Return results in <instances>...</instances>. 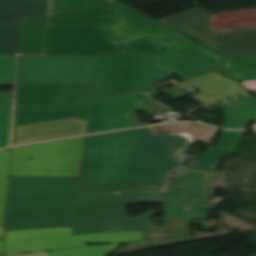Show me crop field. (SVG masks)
<instances>
[{
    "mask_svg": "<svg viewBox=\"0 0 256 256\" xmlns=\"http://www.w3.org/2000/svg\"><path fill=\"white\" fill-rule=\"evenodd\" d=\"M187 144L181 136H152L149 127L87 137L79 184L164 183L167 169L179 166L175 151Z\"/></svg>",
    "mask_w": 256,
    "mask_h": 256,
    "instance_id": "1",
    "label": "crop field"
},
{
    "mask_svg": "<svg viewBox=\"0 0 256 256\" xmlns=\"http://www.w3.org/2000/svg\"><path fill=\"white\" fill-rule=\"evenodd\" d=\"M78 181L10 177L6 231L72 226Z\"/></svg>",
    "mask_w": 256,
    "mask_h": 256,
    "instance_id": "2",
    "label": "crop field"
},
{
    "mask_svg": "<svg viewBox=\"0 0 256 256\" xmlns=\"http://www.w3.org/2000/svg\"><path fill=\"white\" fill-rule=\"evenodd\" d=\"M174 72L186 80L208 71L202 62L173 59L164 50L101 55L95 79L122 95L156 90L151 81L167 79Z\"/></svg>",
    "mask_w": 256,
    "mask_h": 256,
    "instance_id": "3",
    "label": "crop field"
},
{
    "mask_svg": "<svg viewBox=\"0 0 256 256\" xmlns=\"http://www.w3.org/2000/svg\"><path fill=\"white\" fill-rule=\"evenodd\" d=\"M162 49L153 37L119 44L106 26L46 27L42 54L98 56Z\"/></svg>",
    "mask_w": 256,
    "mask_h": 256,
    "instance_id": "4",
    "label": "crop field"
},
{
    "mask_svg": "<svg viewBox=\"0 0 256 256\" xmlns=\"http://www.w3.org/2000/svg\"><path fill=\"white\" fill-rule=\"evenodd\" d=\"M84 140L14 148L10 176L79 177ZM30 157L32 160H27Z\"/></svg>",
    "mask_w": 256,
    "mask_h": 256,
    "instance_id": "5",
    "label": "crop field"
},
{
    "mask_svg": "<svg viewBox=\"0 0 256 256\" xmlns=\"http://www.w3.org/2000/svg\"><path fill=\"white\" fill-rule=\"evenodd\" d=\"M124 12L117 24L107 26L120 43L154 36L173 58H191L206 64L209 72H219L221 57L170 29L121 5Z\"/></svg>",
    "mask_w": 256,
    "mask_h": 256,
    "instance_id": "6",
    "label": "crop field"
},
{
    "mask_svg": "<svg viewBox=\"0 0 256 256\" xmlns=\"http://www.w3.org/2000/svg\"><path fill=\"white\" fill-rule=\"evenodd\" d=\"M97 57L20 56L18 85H92Z\"/></svg>",
    "mask_w": 256,
    "mask_h": 256,
    "instance_id": "7",
    "label": "crop field"
},
{
    "mask_svg": "<svg viewBox=\"0 0 256 256\" xmlns=\"http://www.w3.org/2000/svg\"><path fill=\"white\" fill-rule=\"evenodd\" d=\"M72 227L5 232L4 254L87 246L88 242L123 243L142 239L140 231L70 236ZM9 250L15 252L6 253Z\"/></svg>",
    "mask_w": 256,
    "mask_h": 256,
    "instance_id": "8",
    "label": "crop field"
},
{
    "mask_svg": "<svg viewBox=\"0 0 256 256\" xmlns=\"http://www.w3.org/2000/svg\"><path fill=\"white\" fill-rule=\"evenodd\" d=\"M92 86H17L16 105L90 106Z\"/></svg>",
    "mask_w": 256,
    "mask_h": 256,
    "instance_id": "9",
    "label": "crop field"
},
{
    "mask_svg": "<svg viewBox=\"0 0 256 256\" xmlns=\"http://www.w3.org/2000/svg\"><path fill=\"white\" fill-rule=\"evenodd\" d=\"M88 121L66 118L15 127L13 145L86 134Z\"/></svg>",
    "mask_w": 256,
    "mask_h": 256,
    "instance_id": "10",
    "label": "crop field"
},
{
    "mask_svg": "<svg viewBox=\"0 0 256 256\" xmlns=\"http://www.w3.org/2000/svg\"><path fill=\"white\" fill-rule=\"evenodd\" d=\"M183 89L194 86L201 93L193 95L203 105L247 94L236 81L227 79L219 73H207L178 83Z\"/></svg>",
    "mask_w": 256,
    "mask_h": 256,
    "instance_id": "11",
    "label": "crop field"
},
{
    "mask_svg": "<svg viewBox=\"0 0 256 256\" xmlns=\"http://www.w3.org/2000/svg\"><path fill=\"white\" fill-rule=\"evenodd\" d=\"M183 178L169 180L164 201L206 203L207 184L205 173L174 171Z\"/></svg>",
    "mask_w": 256,
    "mask_h": 256,
    "instance_id": "12",
    "label": "crop field"
},
{
    "mask_svg": "<svg viewBox=\"0 0 256 256\" xmlns=\"http://www.w3.org/2000/svg\"><path fill=\"white\" fill-rule=\"evenodd\" d=\"M158 21L209 47L208 11L197 7Z\"/></svg>",
    "mask_w": 256,
    "mask_h": 256,
    "instance_id": "13",
    "label": "crop field"
},
{
    "mask_svg": "<svg viewBox=\"0 0 256 256\" xmlns=\"http://www.w3.org/2000/svg\"><path fill=\"white\" fill-rule=\"evenodd\" d=\"M141 232L138 250L193 241L190 220H164V229Z\"/></svg>",
    "mask_w": 256,
    "mask_h": 256,
    "instance_id": "14",
    "label": "crop field"
},
{
    "mask_svg": "<svg viewBox=\"0 0 256 256\" xmlns=\"http://www.w3.org/2000/svg\"><path fill=\"white\" fill-rule=\"evenodd\" d=\"M90 107H33L17 106L15 126L76 117L88 120Z\"/></svg>",
    "mask_w": 256,
    "mask_h": 256,
    "instance_id": "15",
    "label": "crop field"
},
{
    "mask_svg": "<svg viewBox=\"0 0 256 256\" xmlns=\"http://www.w3.org/2000/svg\"><path fill=\"white\" fill-rule=\"evenodd\" d=\"M121 9L116 6L75 12L47 19L46 26H73V25H109L116 23Z\"/></svg>",
    "mask_w": 256,
    "mask_h": 256,
    "instance_id": "16",
    "label": "crop field"
},
{
    "mask_svg": "<svg viewBox=\"0 0 256 256\" xmlns=\"http://www.w3.org/2000/svg\"><path fill=\"white\" fill-rule=\"evenodd\" d=\"M211 45L224 56L256 53V30L211 35Z\"/></svg>",
    "mask_w": 256,
    "mask_h": 256,
    "instance_id": "17",
    "label": "crop field"
},
{
    "mask_svg": "<svg viewBox=\"0 0 256 256\" xmlns=\"http://www.w3.org/2000/svg\"><path fill=\"white\" fill-rule=\"evenodd\" d=\"M145 100L150 98L144 94L93 100L90 120L133 113L137 109L136 103Z\"/></svg>",
    "mask_w": 256,
    "mask_h": 256,
    "instance_id": "18",
    "label": "crop field"
},
{
    "mask_svg": "<svg viewBox=\"0 0 256 256\" xmlns=\"http://www.w3.org/2000/svg\"><path fill=\"white\" fill-rule=\"evenodd\" d=\"M227 121L223 127L234 129H245L250 121L256 120V101L249 95L223 104Z\"/></svg>",
    "mask_w": 256,
    "mask_h": 256,
    "instance_id": "19",
    "label": "crop field"
},
{
    "mask_svg": "<svg viewBox=\"0 0 256 256\" xmlns=\"http://www.w3.org/2000/svg\"><path fill=\"white\" fill-rule=\"evenodd\" d=\"M48 3L38 0H0V23L47 15Z\"/></svg>",
    "mask_w": 256,
    "mask_h": 256,
    "instance_id": "20",
    "label": "crop field"
},
{
    "mask_svg": "<svg viewBox=\"0 0 256 256\" xmlns=\"http://www.w3.org/2000/svg\"><path fill=\"white\" fill-rule=\"evenodd\" d=\"M46 19L47 17L24 21L21 53L41 54Z\"/></svg>",
    "mask_w": 256,
    "mask_h": 256,
    "instance_id": "21",
    "label": "crop field"
},
{
    "mask_svg": "<svg viewBox=\"0 0 256 256\" xmlns=\"http://www.w3.org/2000/svg\"><path fill=\"white\" fill-rule=\"evenodd\" d=\"M224 74L240 81L256 79V54L225 57Z\"/></svg>",
    "mask_w": 256,
    "mask_h": 256,
    "instance_id": "22",
    "label": "crop field"
},
{
    "mask_svg": "<svg viewBox=\"0 0 256 256\" xmlns=\"http://www.w3.org/2000/svg\"><path fill=\"white\" fill-rule=\"evenodd\" d=\"M256 26V7L211 16V29Z\"/></svg>",
    "mask_w": 256,
    "mask_h": 256,
    "instance_id": "23",
    "label": "crop field"
},
{
    "mask_svg": "<svg viewBox=\"0 0 256 256\" xmlns=\"http://www.w3.org/2000/svg\"><path fill=\"white\" fill-rule=\"evenodd\" d=\"M145 124V122H143L134 114L108 117L89 121L87 134L127 127L142 126Z\"/></svg>",
    "mask_w": 256,
    "mask_h": 256,
    "instance_id": "24",
    "label": "crop field"
},
{
    "mask_svg": "<svg viewBox=\"0 0 256 256\" xmlns=\"http://www.w3.org/2000/svg\"><path fill=\"white\" fill-rule=\"evenodd\" d=\"M164 218H206V204L163 202Z\"/></svg>",
    "mask_w": 256,
    "mask_h": 256,
    "instance_id": "25",
    "label": "crop field"
},
{
    "mask_svg": "<svg viewBox=\"0 0 256 256\" xmlns=\"http://www.w3.org/2000/svg\"><path fill=\"white\" fill-rule=\"evenodd\" d=\"M20 22L0 25V54L17 55L19 53Z\"/></svg>",
    "mask_w": 256,
    "mask_h": 256,
    "instance_id": "26",
    "label": "crop field"
},
{
    "mask_svg": "<svg viewBox=\"0 0 256 256\" xmlns=\"http://www.w3.org/2000/svg\"><path fill=\"white\" fill-rule=\"evenodd\" d=\"M126 206H108L76 209L74 221L100 220L124 217Z\"/></svg>",
    "mask_w": 256,
    "mask_h": 256,
    "instance_id": "27",
    "label": "crop field"
},
{
    "mask_svg": "<svg viewBox=\"0 0 256 256\" xmlns=\"http://www.w3.org/2000/svg\"><path fill=\"white\" fill-rule=\"evenodd\" d=\"M114 2H116V0H52L49 15L106 6Z\"/></svg>",
    "mask_w": 256,
    "mask_h": 256,
    "instance_id": "28",
    "label": "crop field"
},
{
    "mask_svg": "<svg viewBox=\"0 0 256 256\" xmlns=\"http://www.w3.org/2000/svg\"><path fill=\"white\" fill-rule=\"evenodd\" d=\"M10 149L0 151V239H3L5 199L9 171Z\"/></svg>",
    "mask_w": 256,
    "mask_h": 256,
    "instance_id": "29",
    "label": "crop field"
},
{
    "mask_svg": "<svg viewBox=\"0 0 256 256\" xmlns=\"http://www.w3.org/2000/svg\"><path fill=\"white\" fill-rule=\"evenodd\" d=\"M118 244L52 250L51 256H106L117 250Z\"/></svg>",
    "mask_w": 256,
    "mask_h": 256,
    "instance_id": "30",
    "label": "crop field"
},
{
    "mask_svg": "<svg viewBox=\"0 0 256 256\" xmlns=\"http://www.w3.org/2000/svg\"><path fill=\"white\" fill-rule=\"evenodd\" d=\"M228 152L217 148L206 150L197 160L190 161L185 168L216 172L212 169Z\"/></svg>",
    "mask_w": 256,
    "mask_h": 256,
    "instance_id": "31",
    "label": "crop field"
},
{
    "mask_svg": "<svg viewBox=\"0 0 256 256\" xmlns=\"http://www.w3.org/2000/svg\"><path fill=\"white\" fill-rule=\"evenodd\" d=\"M115 232L114 220L74 223L71 235Z\"/></svg>",
    "mask_w": 256,
    "mask_h": 256,
    "instance_id": "32",
    "label": "crop field"
},
{
    "mask_svg": "<svg viewBox=\"0 0 256 256\" xmlns=\"http://www.w3.org/2000/svg\"><path fill=\"white\" fill-rule=\"evenodd\" d=\"M163 195L164 193H119L116 194L115 205L160 202Z\"/></svg>",
    "mask_w": 256,
    "mask_h": 256,
    "instance_id": "33",
    "label": "crop field"
},
{
    "mask_svg": "<svg viewBox=\"0 0 256 256\" xmlns=\"http://www.w3.org/2000/svg\"><path fill=\"white\" fill-rule=\"evenodd\" d=\"M115 194L77 196L76 208L114 205Z\"/></svg>",
    "mask_w": 256,
    "mask_h": 256,
    "instance_id": "34",
    "label": "crop field"
},
{
    "mask_svg": "<svg viewBox=\"0 0 256 256\" xmlns=\"http://www.w3.org/2000/svg\"><path fill=\"white\" fill-rule=\"evenodd\" d=\"M16 56L0 55V85H13Z\"/></svg>",
    "mask_w": 256,
    "mask_h": 256,
    "instance_id": "35",
    "label": "crop field"
},
{
    "mask_svg": "<svg viewBox=\"0 0 256 256\" xmlns=\"http://www.w3.org/2000/svg\"><path fill=\"white\" fill-rule=\"evenodd\" d=\"M244 132H232L224 131L217 148L223 149L228 152H233L236 150L240 137L245 136Z\"/></svg>",
    "mask_w": 256,
    "mask_h": 256,
    "instance_id": "36",
    "label": "crop field"
},
{
    "mask_svg": "<svg viewBox=\"0 0 256 256\" xmlns=\"http://www.w3.org/2000/svg\"><path fill=\"white\" fill-rule=\"evenodd\" d=\"M116 231H131L136 229H159L150 220L115 222Z\"/></svg>",
    "mask_w": 256,
    "mask_h": 256,
    "instance_id": "37",
    "label": "crop field"
},
{
    "mask_svg": "<svg viewBox=\"0 0 256 256\" xmlns=\"http://www.w3.org/2000/svg\"><path fill=\"white\" fill-rule=\"evenodd\" d=\"M117 188L118 186L79 185L78 194L113 192Z\"/></svg>",
    "mask_w": 256,
    "mask_h": 256,
    "instance_id": "38",
    "label": "crop field"
},
{
    "mask_svg": "<svg viewBox=\"0 0 256 256\" xmlns=\"http://www.w3.org/2000/svg\"><path fill=\"white\" fill-rule=\"evenodd\" d=\"M118 190L162 191L158 184H119Z\"/></svg>",
    "mask_w": 256,
    "mask_h": 256,
    "instance_id": "39",
    "label": "crop field"
},
{
    "mask_svg": "<svg viewBox=\"0 0 256 256\" xmlns=\"http://www.w3.org/2000/svg\"><path fill=\"white\" fill-rule=\"evenodd\" d=\"M117 96L114 92L103 86L97 80H94L91 99Z\"/></svg>",
    "mask_w": 256,
    "mask_h": 256,
    "instance_id": "40",
    "label": "crop field"
},
{
    "mask_svg": "<svg viewBox=\"0 0 256 256\" xmlns=\"http://www.w3.org/2000/svg\"><path fill=\"white\" fill-rule=\"evenodd\" d=\"M11 106H0V127H10Z\"/></svg>",
    "mask_w": 256,
    "mask_h": 256,
    "instance_id": "41",
    "label": "crop field"
},
{
    "mask_svg": "<svg viewBox=\"0 0 256 256\" xmlns=\"http://www.w3.org/2000/svg\"><path fill=\"white\" fill-rule=\"evenodd\" d=\"M10 128H0V147L8 145Z\"/></svg>",
    "mask_w": 256,
    "mask_h": 256,
    "instance_id": "42",
    "label": "crop field"
},
{
    "mask_svg": "<svg viewBox=\"0 0 256 256\" xmlns=\"http://www.w3.org/2000/svg\"><path fill=\"white\" fill-rule=\"evenodd\" d=\"M254 29H256V27L215 29V30H211V34L225 33V32H235V31H245V30H254Z\"/></svg>",
    "mask_w": 256,
    "mask_h": 256,
    "instance_id": "43",
    "label": "crop field"
},
{
    "mask_svg": "<svg viewBox=\"0 0 256 256\" xmlns=\"http://www.w3.org/2000/svg\"><path fill=\"white\" fill-rule=\"evenodd\" d=\"M4 256H50V253L46 251H39V252H32L28 255L10 254V255H4Z\"/></svg>",
    "mask_w": 256,
    "mask_h": 256,
    "instance_id": "44",
    "label": "crop field"
},
{
    "mask_svg": "<svg viewBox=\"0 0 256 256\" xmlns=\"http://www.w3.org/2000/svg\"><path fill=\"white\" fill-rule=\"evenodd\" d=\"M156 213V211H148L147 213L139 216L137 219H126V220H139V219H149L150 217H152L154 214ZM151 219V218H150ZM115 221H123V220H115Z\"/></svg>",
    "mask_w": 256,
    "mask_h": 256,
    "instance_id": "45",
    "label": "crop field"
},
{
    "mask_svg": "<svg viewBox=\"0 0 256 256\" xmlns=\"http://www.w3.org/2000/svg\"><path fill=\"white\" fill-rule=\"evenodd\" d=\"M12 96H0V105H11Z\"/></svg>",
    "mask_w": 256,
    "mask_h": 256,
    "instance_id": "46",
    "label": "crop field"
},
{
    "mask_svg": "<svg viewBox=\"0 0 256 256\" xmlns=\"http://www.w3.org/2000/svg\"><path fill=\"white\" fill-rule=\"evenodd\" d=\"M242 83L245 84L249 90H256V80L255 81H245Z\"/></svg>",
    "mask_w": 256,
    "mask_h": 256,
    "instance_id": "47",
    "label": "crop field"
},
{
    "mask_svg": "<svg viewBox=\"0 0 256 256\" xmlns=\"http://www.w3.org/2000/svg\"><path fill=\"white\" fill-rule=\"evenodd\" d=\"M0 95H12V93H0Z\"/></svg>",
    "mask_w": 256,
    "mask_h": 256,
    "instance_id": "48",
    "label": "crop field"
},
{
    "mask_svg": "<svg viewBox=\"0 0 256 256\" xmlns=\"http://www.w3.org/2000/svg\"><path fill=\"white\" fill-rule=\"evenodd\" d=\"M2 240H0V254H1Z\"/></svg>",
    "mask_w": 256,
    "mask_h": 256,
    "instance_id": "49",
    "label": "crop field"
},
{
    "mask_svg": "<svg viewBox=\"0 0 256 256\" xmlns=\"http://www.w3.org/2000/svg\"><path fill=\"white\" fill-rule=\"evenodd\" d=\"M125 217H127L126 212L124 213Z\"/></svg>",
    "mask_w": 256,
    "mask_h": 256,
    "instance_id": "50",
    "label": "crop field"
},
{
    "mask_svg": "<svg viewBox=\"0 0 256 256\" xmlns=\"http://www.w3.org/2000/svg\"><path fill=\"white\" fill-rule=\"evenodd\" d=\"M42 1H46V2H48V0H42Z\"/></svg>",
    "mask_w": 256,
    "mask_h": 256,
    "instance_id": "51",
    "label": "crop field"
}]
</instances>
